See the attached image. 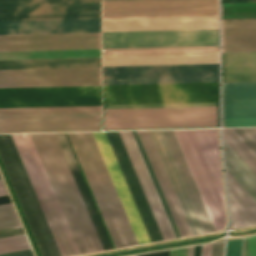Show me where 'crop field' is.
I'll list each match as a JSON object with an SVG mask.
<instances>
[{"mask_svg": "<svg viewBox=\"0 0 256 256\" xmlns=\"http://www.w3.org/2000/svg\"><path fill=\"white\" fill-rule=\"evenodd\" d=\"M92 133L97 142V145L99 147V150L101 152L103 160L106 164V167L108 169V172L110 174L112 182L115 186L117 194L120 198V201L123 205V208L125 210V213L128 217V220L131 224V227L134 231V234L136 236L138 243L142 244V243H148L151 241L153 242V241H159V240H163V239L167 240V239L176 238L173 233V230L171 228V225L168 221L166 213L163 209L161 201L158 197L156 189L153 185L151 177L148 173L146 165L143 161L141 153L138 149L136 141L133 137L132 132L124 131V132H118V133L121 137L123 145L126 149L129 159L132 163L134 171H135L137 178L140 182L142 190L145 194V197L148 201V204L150 206V209L153 213V216L156 220V223L159 227V230L161 232L163 239L160 235L158 227H157L155 220L152 216V213L149 209L147 201H146L144 194L141 190L139 182L136 178V175L133 171V168H132L131 163L128 159V156L125 152V149L122 145V142L120 140L118 133L117 132H106L107 137L110 141L112 149H113L115 156L118 160L120 168H121L123 175L126 179L128 187L131 191V194H132L133 199L136 203V206L139 210V213L141 215V218L144 222V225L147 229V232L149 234L151 241L148 237L146 229H145L143 222L140 218L138 210L135 206V203L132 199L130 191L127 187L125 179L122 175V172L119 168V165L117 163V160L114 156V153L111 149V146L109 144V141H108L105 133L104 132H92Z\"/></svg>", "mask_w": 256, "mask_h": 256, "instance_id": "crop-field-1", "label": "crop field"}, {"mask_svg": "<svg viewBox=\"0 0 256 256\" xmlns=\"http://www.w3.org/2000/svg\"><path fill=\"white\" fill-rule=\"evenodd\" d=\"M0 159L41 256L79 254L55 196H34L8 135H0Z\"/></svg>", "mask_w": 256, "mask_h": 256, "instance_id": "crop-field-2", "label": "crop field"}, {"mask_svg": "<svg viewBox=\"0 0 256 256\" xmlns=\"http://www.w3.org/2000/svg\"><path fill=\"white\" fill-rule=\"evenodd\" d=\"M216 231L228 214L219 129L174 130Z\"/></svg>", "mask_w": 256, "mask_h": 256, "instance_id": "crop-field-3", "label": "crop field"}, {"mask_svg": "<svg viewBox=\"0 0 256 256\" xmlns=\"http://www.w3.org/2000/svg\"><path fill=\"white\" fill-rule=\"evenodd\" d=\"M80 254L103 250L54 134H30Z\"/></svg>", "mask_w": 256, "mask_h": 256, "instance_id": "crop-field-4", "label": "crop field"}, {"mask_svg": "<svg viewBox=\"0 0 256 256\" xmlns=\"http://www.w3.org/2000/svg\"><path fill=\"white\" fill-rule=\"evenodd\" d=\"M116 248L138 244L91 132L68 133Z\"/></svg>", "mask_w": 256, "mask_h": 256, "instance_id": "crop-field-5", "label": "crop field"}, {"mask_svg": "<svg viewBox=\"0 0 256 256\" xmlns=\"http://www.w3.org/2000/svg\"><path fill=\"white\" fill-rule=\"evenodd\" d=\"M198 106H216V103L123 105L105 106V109ZM217 115L219 127V103ZM199 126H217L216 107L105 110V129Z\"/></svg>", "mask_w": 256, "mask_h": 256, "instance_id": "crop-field-6", "label": "crop field"}, {"mask_svg": "<svg viewBox=\"0 0 256 256\" xmlns=\"http://www.w3.org/2000/svg\"><path fill=\"white\" fill-rule=\"evenodd\" d=\"M223 138L243 159V161L256 174V156L235 134L232 129H222ZM224 141V157L226 170L240 184V186L256 202V175ZM227 174L229 204L232 226L231 228L245 227L256 224V203L239 186V184Z\"/></svg>", "mask_w": 256, "mask_h": 256, "instance_id": "crop-field-7", "label": "crop field"}, {"mask_svg": "<svg viewBox=\"0 0 256 256\" xmlns=\"http://www.w3.org/2000/svg\"><path fill=\"white\" fill-rule=\"evenodd\" d=\"M219 102L218 83L103 86V105Z\"/></svg>", "mask_w": 256, "mask_h": 256, "instance_id": "crop-field-8", "label": "crop field"}, {"mask_svg": "<svg viewBox=\"0 0 256 256\" xmlns=\"http://www.w3.org/2000/svg\"><path fill=\"white\" fill-rule=\"evenodd\" d=\"M222 52L256 51L255 19H221ZM256 81V52L222 53V82Z\"/></svg>", "mask_w": 256, "mask_h": 256, "instance_id": "crop-field-9", "label": "crop field"}, {"mask_svg": "<svg viewBox=\"0 0 256 256\" xmlns=\"http://www.w3.org/2000/svg\"><path fill=\"white\" fill-rule=\"evenodd\" d=\"M218 82V64L103 67V85Z\"/></svg>", "mask_w": 256, "mask_h": 256, "instance_id": "crop-field-10", "label": "crop field"}, {"mask_svg": "<svg viewBox=\"0 0 256 256\" xmlns=\"http://www.w3.org/2000/svg\"><path fill=\"white\" fill-rule=\"evenodd\" d=\"M101 105V86L0 89V108Z\"/></svg>", "mask_w": 256, "mask_h": 256, "instance_id": "crop-field-11", "label": "crop field"}, {"mask_svg": "<svg viewBox=\"0 0 256 256\" xmlns=\"http://www.w3.org/2000/svg\"><path fill=\"white\" fill-rule=\"evenodd\" d=\"M218 15V0L102 2V18Z\"/></svg>", "mask_w": 256, "mask_h": 256, "instance_id": "crop-field-12", "label": "crop field"}, {"mask_svg": "<svg viewBox=\"0 0 256 256\" xmlns=\"http://www.w3.org/2000/svg\"><path fill=\"white\" fill-rule=\"evenodd\" d=\"M218 45V30L102 33V48Z\"/></svg>", "mask_w": 256, "mask_h": 256, "instance_id": "crop-field-13", "label": "crop field"}, {"mask_svg": "<svg viewBox=\"0 0 256 256\" xmlns=\"http://www.w3.org/2000/svg\"><path fill=\"white\" fill-rule=\"evenodd\" d=\"M101 68L4 70L0 88L101 85Z\"/></svg>", "mask_w": 256, "mask_h": 256, "instance_id": "crop-field-14", "label": "crop field"}, {"mask_svg": "<svg viewBox=\"0 0 256 256\" xmlns=\"http://www.w3.org/2000/svg\"><path fill=\"white\" fill-rule=\"evenodd\" d=\"M100 18V2L0 5V21Z\"/></svg>", "mask_w": 256, "mask_h": 256, "instance_id": "crop-field-15", "label": "crop field"}, {"mask_svg": "<svg viewBox=\"0 0 256 256\" xmlns=\"http://www.w3.org/2000/svg\"><path fill=\"white\" fill-rule=\"evenodd\" d=\"M100 48V33L0 36V51Z\"/></svg>", "mask_w": 256, "mask_h": 256, "instance_id": "crop-field-16", "label": "crop field"}, {"mask_svg": "<svg viewBox=\"0 0 256 256\" xmlns=\"http://www.w3.org/2000/svg\"><path fill=\"white\" fill-rule=\"evenodd\" d=\"M218 29V16L102 19V32Z\"/></svg>", "mask_w": 256, "mask_h": 256, "instance_id": "crop-field-17", "label": "crop field"}, {"mask_svg": "<svg viewBox=\"0 0 256 256\" xmlns=\"http://www.w3.org/2000/svg\"><path fill=\"white\" fill-rule=\"evenodd\" d=\"M256 114V82L222 83V115ZM256 126V115L222 116V127Z\"/></svg>", "mask_w": 256, "mask_h": 256, "instance_id": "crop-field-18", "label": "crop field"}, {"mask_svg": "<svg viewBox=\"0 0 256 256\" xmlns=\"http://www.w3.org/2000/svg\"><path fill=\"white\" fill-rule=\"evenodd\" d=\"M100 32V19L0 22V35Z\"/></svg>", "mask_w": 256, "mask_h": 256, "instance_id": "crop-field-19", "label": "crop field"}, {"mask_svg": "<svg viewBox=\"0 0 256 256\" xmlns=\"http://www.w3.org/2000/svg\"><path fill=\"white\" fill-rule=\"evenodd\" d=\"M218 63V52L103 55V66Z\"/></svg>", "mask_w": 256, "mask_h": 256, "instance_id": "crop-field-20", "label": "crop field"}, {"mask_svg": "<svg viewBox=\"0 0 256 256\" xmlns=\"http://www.w3.org/2000/svg\"><path fill=\"white\" fill-rule=\"evenodd\" d=\"M82 130H100L99 117L0 121V133Z\"/></svg>", "mask_w": 256, "mask_h": 256, "instance_id": "crop-field-21", "label": "crop field"}, {"mask_svg": "<svg viewBox=\"0 0 256 256\" xmlns=\"http://www.w3.org/2000/svg\"><path fill=\"white\" fill-rule=\"evenodd\" d=\"M35 195H54L29 134L9 135Z\"/></svg>", "mask_w": 256, "mask_h": 256, "instance_id": "crop-field-22", "label": "crop field"}, {"mask_svg": "<svg viewBox=\"0 0 256 256\" xmlns=\"http://www.w3.org/2000/svg\"><path fill=\"white\" fill-rule=\"evenodd\" d=\"M181 237L192 235L148 131H137Z\"/></svg>", "mask_w": 256, "mask_h": 256, "instance_id": "crop-field-23", "label": "crop field"}, {"mask_svg": "<svg viewBox=\"0 0 256 256\" xmlns=\"http://www.w3.org/2000/svg\"><path fill=\"white\" fill-rule=\"evenodd\" d=\"M205 233L215 231L173 130L161 131Z\"/></svg>", "mask_w": 256, "mask_h": 256, "instance_id": "crop-field-24", "label": "crop field"}, {"mask_svg": "<svg viewBox=\"0 0 256 256\" xmlns=\"http://www.w3.org/2000/svg\"><path fill=\"white\" fill-rule=\"evenodd\" d=\"M193 235L204 233L160 131H149Z\"/></svg>", "mask_w": 256, "mask_h": 256, "instance_id": "crop-field-25", "label": "crop field"}, {"mask_svg": "<svg viewBox=\"0 0 256 256\" xmlns=\"http://www.w3.org/2000/svg\"><path fill=\"white\" fill-rule=\"evenodd\" d=\"M104 250L113 248L64 133L55 134Z\"/></svg>", "mask_w": 256, "mask_h": 256, "instance_id": "crop-field-26", "label": "crop field"}, {"mask_svg": "<svg viewBox=\"0 0 256 256\" xmlns=\"http://www.w3.org/2000/svg\"><path fill=\"white\" fill-rule=\"evenodd\" d=\"M82 67H101L100 58L0 61V70Z\"/></svg>", "mask_w": 256, "mask_h": 256, "instance_id": "crop-field-27", "label": "crop field"}, {"mask_svg": "<svg viewBox=\"0 0 256 256\" xmlns=\"http://www.w3.org/2000/svg\"><path fill=\"white\" fill-rule=\"evenodd\" d=\"M100 57V49L0 52V60Z\"/></svg>", "mask_w": 256, "mask_h": 256, "instance_id": "crop-field-28", "label": "crop field"}, {"mask_svg": "<svg viewBox=\"0 0 256 256\" xmlns=\"http://www.w3.org/2000/svg\"><path fill=\"white\" fill-rule=\"evenodd\" d=\"M82 112H101V106L0 109V115H6V114H44V113H82Z\"/></svg>", "mask_w": 256, "mask_h": 256, "instance_id": "crop-field-29", "label": "crop field"}, {"mask_svg": "<svg viewBox=\"0 0 256 256\" xmlns=\"http://www.w3.org/2000/svg\"><path fill=\"white\" fill-rule=\"evenodd\" d=\"M218 51V46L103 49V54Z\"/></svg>", "mask_w": 256, "mask_h": 256, "instance_id": "crop-field-30", "label": "crop field"}, {"mask_svg": "<svg viewBox=\"0 0 256 256\" xmlns=\"http://www.w3.org/2000/svg\"><path fill=\"white\" fill-rule=\"evenodd\" d=\"M256 2L221 3V18H255Z\"/></svg>", "mask_w": 256, "mask_h": 256, "instance_id": "crop-field-31", "label": "crop field"}, {"mask_svg": "<svg viewBox=\"0 0 256 256\" xmlns=\"http://www.w3.org/2000/svg\"><path fill=\"white\" fill-rule=\"evenodd\" d=\"M132 132H133V134H134V136H135V139H136V141H137V144H138V146H139V148H140V151H141V153H142V156H143V158H144V160H145V163H146L147 168H148V170H149V172H150V175H151L152 180H153V182H154V184H155V187H156L157 192H158V194H159V196H160V199H161V201H162V204H163V206H164V208H165V211H166V213H167V216H168V218H169V220H170V223H171V225H172V228H173V230H174V232H175V235H176L177 238H179L180 236H179L178 231H177V229H176V227H175V224H174L173 219H172V217H171V214H170V212H169V210H168V207H167V205H166V202H165V200H164V197H163V195H162V193H161V190H160V188H159V185H158V183H157V180H156V178H155V175H154V173H153V171H152V168H151V166H150V163H149V161H148V158H147V156H146V154H145V151H144V149H143V146H142V144H141V141H140V139H139V137H138V134H137L136 131H132Z\"/></svg>", "mask_w": 256, "mask_h": 256, "instance_id": "crop-field-32", "label": "crop field"}, {"mask_svg": "<svg viewBox=\"0 0 256 256\" xmlns=\"http://www.w3.org/2000/svg\"><path fill=\"white\" fill-rule=\"evenodd\" d=\"M20 224L11 203L0 205V227Z\"/></svg>", "mask_w": 256, "mask_h": 256, "instance_id": "crop-field-33", "label": "crop field"}, {"mask_svg": "<svg viewBox=\"0 0 256 256\" xmlns=\"http://www.w3.org/2000/svg\"><path fill=\"white\" fill-rule=\"evenodd\" d=\"M86 116H101V113L44 114V115H6V116H0V120L1 119L58 118V117H86Z\"/></svg>", "mask_w": 256, "mask_h": 256, "instance_id": "crop-field-34", "label": "crop field"}, {"mask_svg": "<svg viewBox=\"0 0 256 256\" xmlns=\"http://www.w3.org/2000/svg\"><path fill=\"white\" fill-rule=\"evenodd\" d=\"M233 130L256 155V128H236Z\"/></svg>", "mask_w": 256, "mask_h": 256, "instance_id": "crop-field-35", "label": "crop field"}, {"mask_svg": "<svg viewBox=\"0 0 256 256\" xmlns=\"http://www.w3.org/2000/svg\"><path fill=\"white\" fill-rule=\"evenodd\" d=\"M25 238L21 225L0 228V242Z\"/></svg>", "mask_w": 256, "mask_h": 256, "instance_id": "crop-field-36", "label": "crop field"}, {"mask_svg": "<svg viewBox=\"0 0 256 256\" xmlns=\"http://www.w3.org/2000/svg\"><path fill=\"white\" fill-rule=\"evenodd\" d=\"M30 249L26 239L0 243V254Z\"/></svg>", "mask_w": 256, "mask_h": 256, "instance_id": "crop-field-37", "label": "crop field"}, {"mask_svg": "<svg viewBox=\"0 0 256 256\" xmlns=\"http://www.w3.org/2000/svg\"><path fill=\"white\" fill-rule=\"evenodd\" d=\"M241 256H256V236L243 238Z\"/></svg>", "mask_w": 256, "mask_h": 256, "instance_id": "crop-field-38", "label": "crop field"}, {"mask_svg": "<svg viewBox=\"0 0 256 256\" xmlns=\"http://www.w3.org/2000/svg\"><path fill=\"white\" fill-rule=\"evenodd\" d=\"M100 0H0V4H19V3H51V2H84Z\"/></svg>", "mask_w": 256, "mask_h": 256, "instance_id": "crop-field-39", "label": "crop field"}, {"mask_svg": "<svg viewBox=\"0 0 256 256\" xmlns=\"http://www.w3.org/2000/svg\"><path fill=\"white\" fill-rule=\"evenodd\" d=\"M241 243H242V238L229 240L227 256H240Z\"/></svg>", "mask_w": 256, "mask_h": 256, "instance_id": "crop-field-40", "label": "crop field"}, {"mask_svg": "<svg viewBox=\"0 0 256 256\" xmlns=\"http://www.w3.org/2000/svg\"><path fill=\"white\" fill-rule=\"evenodd\" d=\"M177 253H178V249L170 250V256H177ZM185 254H186V248L179 249L178 256H185ZM142 256H169V250L152 253V254H147V255H142Z\"/></svg>", "mask_w": 256, "mask_h": 256, "instance_id": "crop-field-41", "label": "crop field"}, {"mask_svg": "<svg viewBox=\"0 0 256 256\" xmlns=\"http://www.w3.org/2000/svg\"><path fill=\"white\" fill-rule=\"evenodd\" d=\"M224 241L212 243L211 256H223Z\"/></svg>", "mask_w": 256, "mask_h": 256, "instance_id": "crop-field-42", "label": "crop field"}, {"mask_svg": "<svg viewBox=\"0 0 256 256\" xmlns=\"http://www.w3.org/2000/svg\"><path fill=\"white\" fill-rule=\"evenodd\" d=\"M0 256H32V253L30 250H27V251L15 252V253L3 254Z\"/></svg>", "mask_w": 256, "mask_h": 256, "instance_id": "crop-field-43", "label": "crop field"}, {"mask_svg": "<svg viewBox=\"0 0 256 256\" xmlns=\"http://www.w3.org/2000/svg\"><path fill=\"white\" fill-rule=\"evenodd\" d=\"M211 243L202 245L201 256H210Z\"/></svg>", "mask_w": 256, "mask_h": 256, "instance_id": "crop-field-44", "label": "crop field"}, {"mask_svg": "<svg viewBox=\"0 0 256 256\" xmlns=\"http://www.w3.org/2000/svg\"><path fill=\"white\" fill-rule=\"evenodd\" d=\"M8 202H11L8 195H6V196H0V204H2V203H8Z\"/></svg>", "mask_w": 256, "mask_h": 256, "instance_id": "crop-field-45", "label": "crop field"}, {"mask_svg": "<svg viewBox=\"0 0 256 256\" xmlns=\"http://www.w3.org/2000/svg\"><path fill=\"white\" fill-rule=\"evenodd\" d=\"M5 194H8L2 181L0 180V195H5Z\"/></svg>", "mask_w": 256, "mask_h": 256, "instance_id": "crop-field-46", "label": "crop field"}, {"mask_svg": "<svg viewBox=\"0 0 256 256\" xmlns=\"http://www.w3.org/2000/svg\"><path fill=\"white\" fill-rule=\"evenodd\" d=\"M201 245L195 246L194 256H200Z\"/></svg>", "mask_w": 256, "mask_h": 256, "instance_id": "crop-field-47", "label": "crop field"}, {"mask_svg": "<svg viewBox=\"0 0 256 256\" xmlns=\"http://www.w3.org/2000/svg\"><path fill=\"white\" fill-rule=\"evenodd\" d=\"M193 250H194V246L188 247V248H187V254H186V256H193Z\"/></svg>", "mask_w": 256, "mask_h": 256, "instance_id": "crop-field-48", "label": "crop field"}, {"mask_svg": "<svg viewBox=\"0 0 256 256\" xmlns=\"http://www.w3.org/2000/svg\"><path fill=\"white\" fill-rule=\"evenodd\" d=\"M239 1H256V0H222V2H239Z\"/></svg>", "mask_w": 256, "mask_h": 256, "instance_id": "crop-field-49", "label": "crop field"}, {"mask_svg": "<svg viewBox=\"0 0 256 256\" xmlns=\"http://www.w3.org/2000/svg\"><path fill=\"white\" fill-rule=\"evenodd\" d=\"M102 1H121V0H102Z\"/></svg>", "mask_w": 256, "mask_h": 256, "instance_id": "crop-field-50", "label": "crop field"}, {"mask_svg": "<svg viewBox=\"0 0 256 256\" xmlns=\"http://www.w3.org/2000/svg\"><path fill=\"white\" fill-rule=\"evenodd\" d=\"M1 179V178H0Z\"/></svg>", "mask_w": 256, "mask_h": 256, "instance_id": "crop-field-51", "label": "crop field"}]
</instances>
